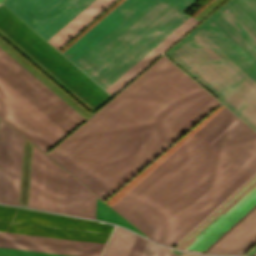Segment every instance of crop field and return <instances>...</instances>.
<instances>
[{
    "instance_id": "8a807250",
    "label": "crop field",
    "mask_w": 256,
    "mask_h": 256,
    "mask_svg": "<svg viewBox=\"0 0 256 256\" xmlns=\"http://www.w3.org/2000/svg\"><path fill=\"white\" fill-rule=\"evenodd\" d=\"M165 58L47 155L65 163L177 68ZM219 103L177 68L62 167L103 201Z\"/></svg>"
},
{
    "instance_id": "ac0d7876",
    "label": "crop field",
    "mask_w": 256,
    "mask_h": 256,
    "mask_svg": "<svg viewBox=\"0 0 256 256\" xmlns=\"http://www.w3.org/2000/svg\"><path fill=\"white\" fill-rule=\"evenodd\" d=\"M222 105L105 203L112 205ZM256 146V133L224 106L111 207L149 238ZM256 172V147L153 240L172 247Z\"/></svg>"
},
{
    "instance_id": "34b2d1b8",
    "label": "crop field",
    "mask_w": 256,
    "mask_h": 256,
    "mask_svg": "<svg viewBox=\"0 0 256 256\" xmlns=\"http://www.w3.org/2000/svg\"><path fill=\"white\" fill-rule=\"evenodd\" d=\"M116 3L59 52L66 50ZM195 0H124L62 54L113 95L198 20L183 12ZM196 25V24H195ZM189 31V30H188Z\"/></svg>"
},
{
    "instance_id": "412701ff",
    "label": "crop field",
    "mask_w": 256,
    "mask_h": 256,
    "mask_svg": "<svg viewBox=\"0 0 256 256\" xmlns=\"http://www.w3.org/2000/svg\"><path fill=\"white\" fill-rule=\"evenodd\" d=\"M165 55L256 130V0H228Z\"/></svg>"
},
{
    "instance_id": "f4fd0767",
    "label": "crop field",
    "mask_w": 256,
    "mask_h": 256,
    "mask_svg": "<svg viewBox=\"0 0 256 256\" xmlns=\"http://www.w3.org/2000/svg\"><path fill=\"white\" fill-rule=\"evenodd\" d=\"M0 60L77 124L85 119L2 48ZM1 61V100L54 144L77 125Z\"/></svg>"
},
{
    "instance_id": "dd49c442",
    "label": "crop field",
    "mask_w": 256,
    "mask_h": 256,
    "mask_svg": "<svg viewBox=\"0 0 256 256\" xmlns=\"http://www.w3.org/2000/svg\"><path fill=\"white\" fill-rule=\"evenodd\" d=\"M115 0H4L57 50Z\"/></svg>"
},
{
    "instance_id": "e52e79f7",
    "label": "crop field",
    "mask_w": 256,
    "mask_h": 256,
    "mask_svg": "<svg viewBox=\"0 0 256 256\" xmlns=\"http://www.w3.org/2000/svg\"><path fill=\"white\" fill-rule=\"evenodd\" d=\"M0 31L94 110L111 97L1 4Z\"/></svg>"
},
{
    "instance_id": "d8731c3e",
    "label": "crop field",
    "mask_w": 256,
    "mask_h": 256,
    "mask_svg": "<svg viewBox=\"0 0 256 256\" xmlns=\"http://www.w3.org/2000/svg\"><path fill=\"white\" fill-rule=\"evenodd\" d=\"M112 227L0 207V231L105 243Z\"/></svg>"
},
{
    "instance_id": "5a996713",
    "label": "crop field",
    "mask_w": 256,
    "mask_h": 256,
    "mask_svg": "<svg viewBox=\"0 0 256 256\" xmlns=\"http://www.w3.org/2000/svg\"><path fill=\"white\" fill-rule=\"evenodd\" d=\"M256 205V175L175 248L203 253Z\"/></svg>"
},
{
    "instance_id": "3316defc",
    "label": "crop field",
    "mask_w": 256,
    "mask_h": 256,
    "mask_svg": "<svg viewBox=\"0 0 256 256\" xmlns=\"http://www.w3.org/2000/svg\"><path fill=\"white\" fill-rule=\"evenodd\" d=\"M67 172L33 146L28 206L63 213Z\"/></svg>"
},
{
    "instance_id": "28ad6ade",
    "label": "crop field",
    "mask_w": 256,
    "mask_h": 256,
    "mask_svg": "<svg viewBox=\"0 0 256 256\" xmlns=\"http://www.w3.org/2000/svg\"><path fill=\"white\" fill-rule=\"evenodd\" d=\"M104 244L0 232V247L76 256H99ZM0 248V256H67Z\"/></svg>"
},
{
    "instance_id": "d1516ede",
    "label": "crop field",
    "mask_w": 256,
    "mask_h": 256,
    "mask_svg": "<svg viewBox=\"0 0 256 256\" xmlns=\"http://www.w3.org/2000/svg\"><path fill=\"white\" fill-rule=\"evenodd\" d=\"M8 126L0 120V202L18 205L23 137Z\"/></svg>"
},
{
    "instance_id": "22f410ed",
    "label": "crop field",
    "mask_w": 256,
    "mask_h": 256,
    "mask_svg": "<svg viewBox=\"0 0 256 256\" xmlns=\"http://www.w3.org/2000/svg\"><path fill=\"white\" fill-rule=\"evenodd\" d=\"M256 243V207L204 253L243 255Z\"/></svg>"
},
{
    "instance_id": "cbeb9de0",
    "label": "crop field",
    "mask_w": 256,
    "mask_h": 256,
    "mask_svg": "<svg viewBox=\"0 0 256 256\" xmlns=\"http://www.w3.org/2000/svg\"><path fill=\"white\" fill-rule=\"evenodd\" d=\"M96 197L68 174L64 213L94 218Z\"/></svg>"
},
{
    "instance_id": "5142ce71",
    "label": "crop field",
    "mask_w": 256,
    "mask_h": 256,
    "mask_svg": "<svg viewBox=\"0 0 256 256\" xmlns=\"http://www.w3.org/2000/svg\"><path fill=\"white\" fill-rule=\"evenodd\" d=\"M0 112H1L5 117H7L11 122H13L17 127H19L24 133H26L30 138H32L36 143H38L42 148H44L46 151H47L50 147H52V146L54 145L52 142H50L46 137H44L40 132H38L34 127H32L28 122H26L21 116H19L15 111H13L9 106H7V105H6L3 101H1V100H0ZM1 113H0V114H1ZM2 114H1V115H2ZM1 115H0V117H1L2 119H4L5 117L2 115V116L4 117V118H3ZM7 118H6V119H7ZM6 119H4V120H5L6 122H8L9 120L7 119V120H8V121H7ZM10 121H9V122H10ZM9 122H8V123H9ZM11 122H10V123H11ZM10 123H9V124H10ZM13 123H12V124H13ZM12 124H10V125L13 126L14 124H13V125H12ZM15 125H14V126H15ZM14 126H13V127H14ZM16 126H15V127H16ZM15 127H14V128H15ZM17 127H16V128H17ZM16 128H15V129H16ZM19 128H18V129H19ZM18 129H16V130H18ZM20 129H19V130H20ZM19 130H18V131H19ZM21 130H20V131H21ZM20 131H19V132H20ZM22 131H21V132H22ZM21 132H20V133H21ZM23 132H22V133H23ZM22 133H21V134H22ZM24 133H23V134H24ZM26 134H25V135H26ZM25 135H24V136H25ZM27 135H26V136H27ZM26 136H25V137H26ZM28 136H27V137H28ZM27 137H26V138H27ZM29 137H28V138H29ZM30 138H29V139H30ZM32 139H31V140H32ZM31 140H30V141H31ZM33 140H32V141H33ZM32 141H31V142H32ZM34 141H33V142H34ZM35 142H34V143H35ZM36 143H35V144H36ZM38 144H37V145H38ZM37 145H36V146H37ZM39 145H38V146H39ZM38 146H37V147H38ZM40 146H39V147H40ZM39 147H38V148H39ZM41 147H40V148H41ZM42 148H41V149H42ZM44 149H43V150H44ZM43 150H42V151H43ZM45 150H44V151H45ZM44 151H43V152H44ZM46 151H45V152H46Z\"/></svg>"
},
{
    "instance_id": "d9b57169",
    "label": "crop field",
    "mask_w": 256,
    "mask_h": 256,
    "mask_svg": "<svg viewBox=\"0 0 256 256\" xmlns=\"http://www.w3.org/2000/svg\"><path fill=\"white\" fill-rule=\"evenodd\" d=\"M137 235L116 227L102 256H127Z\"/></svg>"
},
{
    "instance_id": "733c2abd",
    "label": "crop field",
    "mask_w": 256,
    "mask_h": 256,
    "mask_svg": "<svg viewBox=\"0 0 256 256\" xmlns=\"http://www.w3.org/2000/svg\"><path fill=\"white\" fill-rule=\"evenodd\" d=\"M95 218L104 220L107 222H111L114 224L125 226L139 234H141L138 230H136L132 225H130L126 220H124L120 215L102 203L100 200L97 199L96 203V213ZM142 235V234H141ZM144 236V235H143Z\"/></svg>"
},
{
    "instance_id": "4a817a6b",
    "label": "crop field",
    "mask_w": 256,
    "mask_h": 256,
    "mask_svg": "<svg viewBox=\"0 0 256 256\" xmlns=\"http://www.w3.org/2000/svg\"><path fill=\"white\" fill-rule=\"evenodd\" d=\"M143 241L144 239L138 236L129 256L137 255ZM158 248H159V245H156L145 239L137 256H154Z\"/></svg>"
},
{
    "instance_id": "bc2a9ffb",
    "label": "crop field",
    "mask_w": 256,
    "mask_h": 256,
    "mask_svg": "<svg viewBox=\"0 0 256 256\" xmlns=\"http://www.w3.org/2000/svg\"><path fill=\"white\" fill-rule=\"evenodd\" d=\"M168 248L160 246L155 256H169Z\"/></svg>"
},
{
    "instance_id": "214f88e0",
    "label": "crop field",
    "mask_w": 256,
    "mask_h": 256,
    "mask_svg": "<svg viewBox=\"0 0 256 256\" xmlns=\"http://www.w3.org/2000/svg\"><path fill=\"white\" fill-rule=\"evenodd\" d=\"M246 255L256 256V246L250 252H248Z\"/></svg>"
},
{
    "instance_id": "92a150f3",
    "label": "crop field",
    "mask_w": 256,
    "mask_h": 256,
    "mask_svg": "<svg viewBox=\"0 0 256 256\" xmlns=\"http://www.w3.org/2000/svg\"><path fill=\"white\" fill-rule=\"evenodd\" d=\"M175 255H176V254H175ZM175 255L171 253V255H170V256H175ZM177 256H178V255H177Z\"/></svg>"
},
{
    "instance_id": "dafd665d",
    "label": "crop field",
    "mask_w": 256,
    "mask_h": 256,
    "mask_svg": "<svg viewBox=\"0 0 256 256\" xmlns=\"http://www.w3.org/2000/svg\"><path fill=\"white\" fill-rule=\"evenodd\" d=\"M2 0H0V2H1Z\"/></svg>"
}]
</instances>
